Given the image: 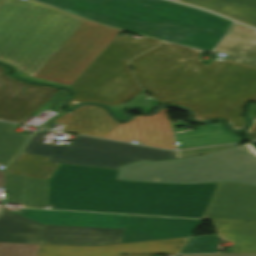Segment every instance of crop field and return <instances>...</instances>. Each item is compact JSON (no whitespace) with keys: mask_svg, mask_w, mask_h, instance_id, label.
<instances>
[{"mask_svg":"<svg viewBox=\"0 0 256 256\" xmlns=\"http://www.w3.org/2000/svg\"><path fill=\"white\" fill-rule=\"evenodd\" d=\"M0 210H1V208H0Z\"/></svg>","mask_w":256,"mask_h":256,"instance_id":"31","label":"crop field"},{"mask_svg":"<svg viewBox=\"0 0 256 256\" xmlns=\"http://www.w3.org/2000/svg\"><path fill=\"white\" fill-rule=\"evenodd\" d=\"M203 218L256 221V187L219 183Z\"/></svg>","mask_w":256,"mask_h":256,"instance_id":"11","label":"crop field"},{"mask_svg":"<svg viewBox=\"0 0 256 256\" xmlns=\"http://www.w3.org/2000/svg\"><path fill=\"white\" fill-rule=\"evenodd\" d=\"M159 43L161 41L149 38L117 35L72 85L70 89L76 94L70 99L67 108L80 102L110 106L141 93L143 90L137 86L125 61Z\"/></svg>","mask_w":256,"mask_h":256,"instance_id":"7","label":"crop field"},{"mask_svg":"<svg viewBox=\"0 0 256 256\" xmlns=\"http://www.w3.org/2000/svg\"><path fill=\"white\" fill-rule=\"evenodd\" d=\"M199 56V51L165 43L128 63L159 103L188 107L197 121L219 117L234 130L243 129V107L256 101V67L228 60H213L207 67Z\"/></svg>","mask_w":256,"mask_h":256,"instance_id":"3","label":"crop field"},{"mask_svg":"<svg viewBox=\"0 0 256 256\" xmlns=\"http://www.w3.org/2000/svg\"><path fill=\"white\" fill-rule=\"evenodd\" d=\"M183 256H256V254H210V255H183Z\"/></svg>","mask_w":256,"mask_h":256,"instance_id":"27","label":"crop field"},{"mask_svg":"<svg viewBox=\"0 0 256 256\" xmlns=\"http://www.w3.org/2000/svg\"><path fill=\"white\" fill-rule=\"evenodd\" d=\"M212 222L218 235L233 243V253H256V223Z\"/></svg>","mask_w":256,"mask_h":256,"instance_id":"16","label":"crop field"},{"mask_svg":"<svg viewBox=\"0 0 256 256\" xmlns=\"http://www.w3.org/2000/svg\"><path fill=\"white\" fill-rule=\"evenodd\" d=\"M118 170L60 164L48 181L7 172L6 201L23 207L201 218L217 183L116 180Z\"/></svg>","mask_w":256,"mask_h":256,"instance_id":"1","label":"crop field"},{"mask_svg":"<svg viewBox=\"0 0 256 256\" xmlns=\"http://www.w3.org/2000/svg\"><path fill=\"white\" fill-rule=\"evenodd\" d=\"M15 124L0 122V164L7 165L22 149L27 134L11 132Z\"/></svg>","mask_w":256,"mask_h":256,"instance_id":"18","label":"crop field"},{"mask_svg":"<svg viewBox=\"0 0 256 256\" xmlns=\"http://www.w3.org/2000/svg\"><path fill=\"white\" fill-rule=\"evenodd\" d=\"M187 125L186 123L172 124L174 132L185 131L184 129H176V127Z\"/></svg>","mask_w":256,"mask_h":256,"instance_id":"28","label":"crop field"},{"mask_svg":"<svg viewBox=\"0 0 256 256\" xmlns=\"http://www.w3.org/2000/svg\"><path fill=\"white\" fill-rule=\"evenodd\" d=\"M141 35L210 50L233 21L163 0H36Z\"/></svg>","mask_w":256,"mask_h":256,"instance_id":"4","label":"crop field"},{"mask_svg":"<svg viewBox=\"0 0 256 256\" xmlns=\"http://www.w3.org/2000/svg\"><path fill=\"white\" fill-rule=\"evenodd\" d=\"M47 133L48 131L35 133L23 152L50 157V162L114 169L139 160L175 159L174 152L79 135H76L70 146L41 143Z\"/></svg>","mask_w":256,"mask_h":256,"instance_id":"9","label":"crop field"},{"mask_svg":"<svg viewBox=\"0 0 256 256\" xmlns=\"http://www.w3.org/2000/svg\"><path fill=\"white\" fill-rule=\"evenodd\" d=\"M4 175L5 172L0 171V188H4Z\"/></svg>","mask_w":256,"mask_h":256,"instance_id":"29","label":"crop field"},{"mask_svg":"<svg viewBox=\"0 0 256 256\" xmlns=\"http://www.w3.org/2000/svg\"><path fill=\"white\" fill-rule=\"evenodd\" d=\"M1 62V61H0ZM7 64V63H6ZM9 65V64H8ZM11 66V65H10ZM14 68V67H13ZM14 75L23 78V79H27V80H31V81H36V82H41V83H45V84H50V85H58V86H63V87H67L70 88L69 86L66 85H62L59 83H54V82H48V81H44V80H40V79H36V78H32V77H28L26 75H24L23 73H21L19 70H17L16 68H14Z\"/></svg>","mask_w":256,"mask_h":256,"instance_id":"25","label":"crop field"},{"mask_svg":"<svg viewBox=\"0 0 256 256\" xmlns=\"http://www.w3.org/2000/svg\"><path fill=\"white\" fill-rule=\"evenodd\" d=\"M217 235L190 238L180 253L216 252Z\"/></svg>","mask_w":256,"mask_h":256,"instance_id":"20","label":"crop field"},{"mask_svg":"<svg viewBox=\"0 0 256 256\" xmlns=\"http://www.w3.org/2000/svg\"><path fill=\"white\" fill-rule=\"evenodd\" d=\"M214 12L256 27V0H232Z\"/></svg>","mask_w":256,"mask_h":256,"instance_id":"19","label":"crop field"},{"mask_svg":"<svg viewBox=\"0 0 256 256\" xmlns=\"http://www.w3.org/2000/svg\"><path fill=\"white\" fill-rule=\"evenodd\" d=\"M42 224L68 225L82 227L119 228L124 227L127 217L122 215L28 209L12 211Z\"/></svg>","mask_w":256,"mask_h":256,"instance_id":"13","label":"crop field"},{"mask_svg":"<svg viewBox=\"0 0 256 256\" xmlns=\"http://www.w3.org/2000/svg\"><path fill=\"white\" fill-rule=\"evenodd\" d=\"M157 104L155 100L147 101L143 96L140 94L136 97L132 98L131 100L121 103L118 105L110 106L111 110L114 112V114L119 117L120 119H125L126 116L124 114V109L126 107L130 106H141L144 109V112L151 111Z\"/></svg>","mask_w":256,"mask_h":256,"instance_id":"21","label":"crop field"},{"mask_svg":"<svg viewBox=\"0 0 256 256\" xmlns=\"http://www.w3.org/2000/svg\"><path fill=\"white\" fill-rule=\"evenodd\" d=\"M58 91L14 80L0 66V119L22 123Z\"/></svg>","mask_w":256,"mask_h":256,"instance_id":"10","label":"crop field"},{"mask_svg":"<svg viewBox=\"0 0 256 256\" xmlns=\"http://www.w3.org/2000/svg\"><path fill=\"white\" fill-rule=\"evenodd\" d=\"M54 123L65 125L64 131L127 142L139 140L143 145L176 149L165 107L153 116H133L132 121L123 124L99 106L82 105Z\"/></svg>","mask_w":256,"mask_h":256,"instance_id":"8","label":"crop field"},{"mask_svg":"<svg viewBox=\"0 0 256 256\" xmlns=\"http://www.w3.org/2000/svg\"><path fill=\"white\" fill-rule=\"evenodd\" d=\"M186 240L187 238L103 246L41 245L38 256H120V254L177 253Z\"/></svg>","mask_w":256,"mask_h":256,"instance_id":"12","label":"crop field"},{"mask_svg":"<svg viewBox=\"0 0 256 256\" xmlns=\"http://www.w3.org/2000/svg\"><path fill=\"white\" fill-rule=\"evenodd\" d=\"M47 159L21 153L7 171L48 180L59 164L46 162Z\"/></svg>","mask_w":256,"mask_h":256,"instance_id":"17","label":"crop field"},{"mask_svg":"<svg viewBox=\"0 0 256 256\" xmlns=\"http://www.w3.org/2000/svg\"><path fill=\"white\" fill-rule=\"evenodd\" d=\"M179 149L243 141L227 131L221 122L198 126L196 131L175 134Z\"/></svg>","mask_w":256,"mask_h":256,"instance_id":"15","label":"crop field"},{"mask_svg":"<svg viewBox=\"0 0 256 256\" xmlns=\"http://www.w3.org/2000/svg\"><path fill=\"white\" fill-rule=\"evenodd\" d=\"M250 139H256V133L247 134Z\"/></svg>","mask_w":256,"mask_h":256,"instance_id":"30","label":"crop field"},{"mask_svg":"<svg viewBox=\"0 0 256 256\" xmlns=\"http://www.w3.org/2000/svg\"><path fill=\"white\" fill-rule=\"evenodd\" d=\"M178 1L190 3L198 7L213 11L230 0H178Z\"/></svg>","mask_w":256,"mask_h":256,"instance_id":"24","label":"crop field"},{"mask_svg":"<svg viewBox=\"0 0 256 256\" xmlns=\"http://www.w3.org/2000/svg\"><path fill=\"white\" fill-rule=\"evenodd\" d=\"M39 246L0 243V256H37Z\"/></svg>","mask_w":256,"mask_h":256,"instance_id":"22","label":"crop field"},{"mask_svg":"<svg viewBox=\"0 0 256 256\" xmlns=\"http://www.w3.org/2000/svg\"><path fill=\"white\" fill-rule=\"evenodd\" d=\"M238 144L234 145H226V146H217V147H209V148H201V149H192V150H184V151H177L175 152L176 158H184V157H190V156H196V155H202L211 153L214 151L222 150L225 148L237 146Z\"/></svg>","mask_w":256,"mask_h":256,"instance_id":"23","label":"crop field"},{"mask_svg":"<svg viewBox=\"0 0 256 256\" xmlns=\"http://www.w3.org/2000/svg\"><path fill=\"white\" fill-rule=\"evenodd\" d=\"M199 220L129 216L125 228L102 229L42 225L5 209L0 214V242L103 245L189 237Z\"/></svg>","mask_w":256,"mask_h":256,"instance_id":"5","label":"crop field"},{"mask_svg":"<svg viewBox=\"0 0 256 256\" xmlns=\"http://www.w3.org/2000/svg\"><path fill=\"white\" fill-rule=\"evenodd\" d=\"M248 117L254 118V124L248 129L247 133L256 132V104H250Z\"/></svg>","mask_w":256,"mask_h":256,"instance_id":"26","label":"crop field"},{"mask_svg":"<svg viewBox=\"0 0 256 256\" xmlns=\"http://www.w3.org/2000/svg\"><path fill=\"white\" fill-rule=\"evenodd\" d=\"M120 32L27 0H0V60L71 86Z\"/></svg>","mask_w":256,"mask_h":256,"instance_id":"2","label":"crop field"},{"mask_svg":"<svg viewBox=\"0 0 256 256\" xmlns=\"http://www.w3.org/2000/svg\"><path fill=\"white\" fill-rule=\"evenodd\" d=\"M117 179L181 184L236 182L256 186V150L247 143L181 160L139 161L120 167Z\"/></svg>","mask_w":256,"mask_h":256,"instance_id":"6","label":"crop field"},{"mask_svg":"<svg viewBox=\"0 0 256 256\" xmlns=\"http://www.w3.org/2000/svg\"><path fill=\"white\" fill-rule=\"evenodd\" d=\"M214 52L229 54L225 59L256 66V30L234 23Z\"/></svg>","mask_w":256,"mask_h":256,"instance_id":"14","label":"crop field"}]
</instances>
